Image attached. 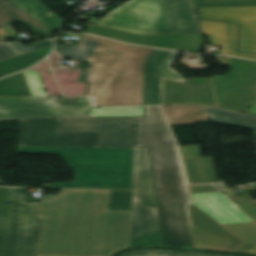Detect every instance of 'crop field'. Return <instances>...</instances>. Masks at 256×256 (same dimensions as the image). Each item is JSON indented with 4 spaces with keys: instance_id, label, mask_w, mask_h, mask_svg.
Segmentation results:
<instances>
[{
    "instance_id": "crop-field-31",
    "label": "crop field",
    "mask_w": 256,
    "mask_h": 256,
    "mask_svg": "<svg viewBox=\"0 0 256 256\" xmlns=\"http://www.w3.org/2000/svg\"><path fill=\"white\" fill-rule=\"evenodd\" d=\"M132 191H112L108 210H131Z\"/></svg>"
},
{
    "instance_id": "crop-field-10",
    "label": "crop field",
    "mask_w": 256,
    "mask_h": 256,
    "mask_svg": "<svg viewBox=\"0 0 256 256\" xmlns=\"http://www.w3.org/2000/svg\"><path fill=\"white\" fill-rule=\"evenodd\" d=\"M61 118L20 121L19 147H97L100 132L60 133Z\"/></svg>"
},
{
    "instance_id": "crop-field-43",
    "label": "crop field",
    "mask_w": 256,
    "mask_h": 256,
    "mask_svg": "<svg viewBox=\"0 0 256 256\" xmlns=\"http://www.w3.org/2000/svg\"><path fill=\"white\" fill-rule=\"evenodd\" d=\"M255 138H256V131H255Z\"/></svg>"
},
{
    "instance_id": "crop-field-42",
    "label": "crop field",
    "mask_w": 256,
    "mask_h": 256,
    "mask_svg": "<svg viewBox=\"0 0 256 256\" xmlns=\"http://www.w3.org/2000/svg\"><path fill=\"white\" fill-rule=\"evenodd\" d=\"M248 253L256 254V247H254L253 249H251L250 251H248Z\"/></svg>"
},
{
    "instance_id": "crop-field-34",
    "label": "crop field",
    "mask_w": 256,
    "mask_h": 256,
    "mask_svg": "<svg viewBox=\"0 0 256 256\" xmlns=\"http://www.w3.org/2000/svg\"><path fill=\"white\" fill-rule=\"evenodd\" d=\"M38 73L37 71H24L31 95L46 96Z\"/></svg>"
},
{
    "instance_id": "crop-field-13",
    "label": "crop field",
    "mask_w": 256,
    "mask_h": 256,
    "mask_svg": "<svg viewBox=\"0 0 256 256\" xmlns=\"http://www.w3.org/2000/svg\"><path fill=\"white\" fill-rule=\"evenodd\" d=\"M83 32L129 43L187 52H199L203 41L201 33L136 35L95 24Z\"/></svg>"
},
{
    "instance_id": "crop-field-22",
    "label": "crop field",
    "mask_w": 256,
    "mask_h": 256,
    "mask_svg": "<svg viewBox=\"0 0 256 256\" xmlns=\"http://www.w3.org/2000/svg\"><path fill=\"white\" fill-rule=\"evenodd\" d=\"M190 184L219 182L212 157L182 159Z\"/></svg>"
},
{
    "instance_id": "crop-field-30",
    "label": "crop field",
    "mask_w": 256,
    "mask_h": 256,
    "mask_svg": "<svg viewBox=\"0 0 256 256\" xmlns=\"http://www.w3.org/2000/svg\"><path fill=\"white\" fill-rule=\"evenodd\" d=\"M91 116H143V107L93 108Z\"/></svg>"
},
{
    "instance_id": "crop-field-6",
    "label": "crop field",
    "mask_w": 256,
    "mask_h": 256,
    "mask_svg": "<svg viewBox=\"0 0 256 256\" xmlns=\"http://www.w3.org/2000/svg\"><path fill=\"white\" fill-rule=\"evenodd\" d=\"M161 246L148 149H135L131 246Z\"/></svg>"
},
{
    "instance_id": "crop-field-1",
    "label": "crop field",
    "mask_w": 256,
    "mask_h": 256,
    "mask_svg": "<svg viewBox=\"0 0 256 256\" xmlns=\"http://www.w3.org/2000/svg\"><path fill=\"white\" fill-rule=\"evenodd\" d=\"M137 117L135 147H150L164 246L194 247L186 205L191 204L174 138L158 107Z\"/></svg>"
},
{
    "instance_id": "crop-field-11",
    "label": "crop field",
    "mask_w": 256,
    "mask_h": 256,
    "mask_svg": "<svg viewBox=\"0 0 256 256\" xmlns=\"http://www.w3.org/2000/svg\"><path fill=\"white\" fill-rule=\"evenodd\" d=\"M134 117L62 118L61 132L101 131L98 147H133Z\"/></svg>"
},
{
    "instance_id": "crop-field-39",
    "label": "crop field",
    "mask_w": 256,
    "mask_h": 256,
    "mask_svg": "<svg viewBox=\"0 0 256 256\" xmlns=\"http://www.w3.org/2000/svg\"><path fill=\"white\" fill-rule=\"evenodd\" d=\"M15 56V54L5 45L0 44V60Z\"/></svg>"
},
{
    "instance_id": "crop-field-8",
    "label": "crop field",
    "mask_w": 256,
    "mask_h": 256,
    "mask_svg": "<svg viewBox=\"0 0 256 256\" xmlns=\"http://www.w3.org/2000/svg\"><path fill=\"white\" fill-rule=\"evenodd\" d=\"M26 189L13 188L7 243L4 256H35L42 217L37 203H24Z\"/></svg>"
},
{
    "instance_id": "crop-field-15",
    "label": "crop field",
    "mask_w": 256,
    "mask_h": 256,
    "mask_svg": "<svg viewBox=\"0 0 256 256\" xmlns=\"http://www.w3.org/2000/svg\"><path fill=\"white\" fill-rule=\"evenodd\" d=\"M199 18L239 23V51L256 53V7L197 8Z\"/></svg>"
},
{
    "instance_id": "crop-field-21",
    "label": "crop field",
    "mask_w": 256,
    "mask_h": 256,
    "mask_svg": "<svg viewBox=\"0 0 256 256\" xmlns=\"http://www.w3.org/2000/svg\"><path fill=\"white\" fill-rule=\"evenodd\" d=\"M20 23L34 33H40L45 38H53L49 28L41 24L39 21L25 13L23 10L9 2L8 0H0V27Z\"/></svg>"
},
{
    "instance_id": "crop-field-44",
    "label": "crop field",
    "mask_w": 256,
    "mask_h": 256,
    "mask_svg": "<svg viewBox=\"0 0 256 256\" xmlns=\"http://www.w3.org/2000/svg\"><path fill=\"white\" fill-rule=\"evenodd\" d=\"M2 41L0 40V43H1Z\"/></svg>"
},
{
    "instance_id": "crop-field-4",
    "label": "crop field",
    "mask_w": 256,
    "mask_h": 256,
    "mask_svg": "<svg viewBox=\"0 0 256 256\" xmlns=\"http://www.w3.org/2000/svg\"><path fill=\"white\" fill-rule=\"evenodd\" d=\"M88 22L136 34L201 32L193 0H130Z\"/></svg>"
},
{
    "instance_id": "crop-field-20",
    "label": "crop field",
    "mask_w": 256,
    "mask_h": 256,
    "mask_svg": "<svg viewBox=\"0 0 256 256\" xmlns=\"http://www.w3.org/2000/svg\"><path fill=\"white\" fill-rule=\"evenodd\" d=\"M202 34L210 37L212 44L224 45L221 54L255 59L256 55L237 53V24L199 19Z\"/></svg>"
},
{
    "instance_id": "crop-field-29",
    "label": "crop field",
    "mask_w": 256,
    "mask_h": 256,
    "mask_svg": "<svg viewBox=\"0 0 256 256\" xmlns=\"http://www.w3.org/2000/svg\"><path fill=\"white\" fill-rule=\"evenodd\" d=\"M10 199L11 188L0 187V256L3 253Z\"/></svg>"
},
{
    "instance_id": "crop-field-23",
    "label": "crop field",
    "mask_w": 256,
    "mask_h": 256,
    "mask_svg": "<svg viewBox=\"0 0 256 256\" xmlns=\"http://www.w3.org/2000/svg\"><path fill=\"white\" fill-rule=\"evenodd\" d=\"M206 109L212 121L227 126L256 130V116L212 107H206Z\"/></svg>"
},
{
    "instance_id": "crop-field-36",
    "label": "crop field",
    "mask_w": 256,
    "mask_h": 256,
    "mask_svg": "<svg viewBox=\"0 0 256 256\" xmlns=\"http://www.w3.org/2000/svg\"><path fill=\"white\" fill-rule=\"evenodd\" d=\"M120 256H175L170 250H138L121 254Z\"/></svg>"
},
{
    "instance_id": "crop-field-12",
    "label": "crop field",
    "mask_w": 256,
    "mask_h": 256,
    "mask_svg": "<svg viewBox=\"0 0 256 256\" xmlns=\"http://www.w3.org/2000/svg\"><path fill=\"white\" fill-rule=\"evenodd\" d=\"M55 50L71 60L87 61L78 82L88 84L83 95L96 96L114 70L121 54L58 45Z\"/></svg>"
},
{
    "instance_id": "crop-field-26",
    "label": "crop field",
    "mask_w": 256,
    "mask_h": 256,
    "mask_svg": "<svg viewBox=\"0 0 256 256\" xmlns=\"http://www.w3.org/2000/svg\"><path fill=\"white\" fill-rule=\"evenodd\" d=\"M51 48L15 56V57L0 61V75L4 76V75L12 74L29 67L30 65L34 64L38 60L47 56L50 53Z\"/></svg>"
},
{
    "instance_id": "crop-field-2",
    "label": "crop field",
    "mask_w": 256,
    "mask_h": 256,
    "mask_svg": "<svg viewBox=\"0 0 256 256\" xmlns=\"http://www.w3.org/2000/svg\"><path fill=\"white\" fill-rule=\"evenodd\" d=\"M108 194L61 190L47 200L36 256H97Z\"/></svg>"
},
{
    "instance_id": "crop-field-14",
    "label": "crop field",
    "mask_w": 256,
    "mask_h": 256,
    "mask_svg": "<svg viewBox=\"0 0 256 256\" xmlns=\"http://www.w3.org/2000/svg\"><path fill=\"white\" fill-rule=\"evenodd\" d=\"M187 208L195 247L234 251L244 242L195 205Z\"/></svg>"
},
{
    "instance_id": "crop-field-18",
    "label": "crop field",
    "mask_w": 256,
    "mask_h": 256,
    "mask_svg": "<svg viewBox=\"0 0 256 256\" xmlns=\"http://www.w3.org/2000/svg\"><path fill=\"white\" fill-rule=\"evenodd\" d=\"M131 211H106L98 256L129 247Z\"/></svg>"
},
{
    "instance_id": "crop-field-7",
    "label": "crop field",
    "mask_w": 256,
    "mask_h": 256,
    "mask_svg": "<svg viewBox=\"0 0 256 256\" xmlns=\"http://www.w3.org/2000/svg\"><path fill=\"white\" fill-rule=\"evenodd\" d=\"M229 58L230 71L225 76H210L217 107L246 113L256 91V61Z\"/></svg>"
},
{
    "instance_id": "crop-field-24",
    "label": "crop field",
    "mask_w": 256,
    "mask_h": 256,
    "mask_svg": "<svg viewBox=\"0 0 256 256\" xmlns=\"http://www.w3.org/2000/svg\"><path fill=\"white\" fill-rule=\"evenodd\" d=\"M12 3L26 11L28 14L42 22L54 31L61 28L65 21L50 13L40 0H10Z\"/></svg>"
},
{
    "instance_id": "crop-field-41",
    "label": "crop field",
    "mask_w": 256,
    "mask_h": 256,
    "mask_svg": "<svg viewBox=\"0 0 256 256\" xmlns=\"http://www.w3.org/2000/svg\"><path fill=\"white\" fill-rule=\"evenodd\" d=\"M253 89H256V86L253 88ZM248 113L250 114H256V99L255 101L253 102L251 108L249 109Z\"/></svg>"
},
{
    "instance_id": "crop-field-37",
    "label": "crop field",
    "mask_w": 256,
    "mask_h": 256,
    "mask_svg": "<svg viewBox=\"0 0 256 256\" xmlns=\"http://www.w3.org/2000/svg\"><path fill=\"white\" fill-rule=\"evenodd\" d=\"M182 158L201 156L199 145L179 146Z\"/></svg>"
},
{
    "instance_id": "crop-field-16",
    "label": "crop field",
    "mask_w": 256,
    "mask_h": 256,
    "mask_svg": "<svg viewBox=\"0 0 256 256\" xmlns=\"http://www.w3.org/2000/svg\"><path fill=\"white\" fill-rule=\"evenodd\" d=\"M163 105H207L215 107L210 78L163 79Z\"/></svg>"
},
{
    "instance_id": "crop-field-19",
    "label": "crop field",
    "mask_w": 256,
    "mask_h": 256,
    "mask_svg": "<svg viewBox=\"0 0 256 256\" xmlns=\"http://www.w3.org/2000/svg\"><path fill=\"white\" fill-rule=\"evenodd\" d=\"M191 195L194 204L220 224L251 221L221 193Z\"/></svg>"
},
{
    "instance_id": "crop-field-40",
    "label": "crop field",
    "mask_w": 256,
    "mask_h": 256,
    "mask_svg": "<svg viewBox=\"0 0 256 256\" xmlns=\"http://www.w3.org/2000/svg\"><path fill=\"white\" fill-rule=\"evenodd\" d=\"M176 256H220L209 253H200V252H184V251H175Z\"/></svg>"
},
{
    "instance_id": "crop-field-3",
    "label": "crop field",
    "mask_w": 256,
    "mask_h": 256,
    "mask_svg": "<svg viewBox=\"0 0 256 256\" xmlns=\"http://www.w3.org/2000/svg\"><path fill=\"white\" fill-rule=\"evenodd\" d=\"M18 151L59 154L77 173L74 183L44 187L132 189L134 148H18Z\"/></svg>"
},
{
    "instance_id": "crop-field-25",
    "label": "crop field",
    "mask_w": 256,
    "mask_h": 256,
    "mask_svg": "<svg viewBox=\"0 0 256 256\" xmlns=\"http://www.w3.org/2000/svg\"><path fill=\"white\" fill-rule=\"evenodd\" d=\"M170 124L210 121L204 107H162Z\"/></svg>"
},
{
    "instance_id": "crop-field-9",
    "label": "crop field",
    "mask_w": 256,
    "mask_h": 256,
    "mask_svg": "<svg viewBox=\"0 0 256 256\" xmlns=\"http://www.w3.org/2000/svg\"><path fill=\"white\" fill-rule=\"evenodd\" d=\"M91 104L88 97L78 98L73 105H60L58 97H0V120L90 116Z\"/></svg>"
},
{
    "instance_id": "crop-field-35",
    "label": "crop field",
    "mask_w": 256,
    "mask_h": 256,
    "mask_svg": "<svg viewBox=\"0 0 256 256\" xmlns=\"http://www.w3.org/2000/svg\"><path fill=\"white\" fill-rule=\"evenodd\" d=\"M6 45L16 54L27 53L52 46V40L43 41L41 43H33L22 46L20 42L6 43Z\"/></svg>"
},
{
    "instance_id": "crop-field-33",
    "label": "crop field",
    "mask_w": 256,
    "mask_h": 256,
    "mask_svg": "<svg viewBox=\"0 0 256 256\" xmlns=\"http://www.w3.org/2000/svg\"><path fill=\"white\" fill-rule=\"evenodd\" d=\"M231 197L230 199L242 209L256 223V201H253L250 195Z\"/></svg>"
},
{
    "instance_id": "crop-field-5",
    "label": "crop field",
    "mask_w": 256,
    "mask_h": 256,
    "mask_svg": "<svg viewBox=\"0 0 256 256\" xmlns=\"http://www.w3.org/2000/svg\"><path fill=\"white\" fill-rule=\"evenodd\" d=\"M76 47L123 53L111 77L96 96V106L143 105L144 63L151 48L80 34Z\"/></svg>"
},
{
    "instance_id": "crop-field-17",
    "label": "crop field",
    "mask_w": 256,
    "mask_h": 256,
    "mask_svg": "<svg viewBox=\"0 0 256 256\" xmlns=\"http://www.w3.org/2000/svg\"><path fill=\"white\" fill-rule=\"evenodd\" d=\"M178 53L155 49L146 63L145 105H162V78L184 81L169 64Z\"/></svg>"
},
{
    "instance_id": "crop-field-32",
    "label": "crop field",
    "mask_w": 256,
    "mask_h": 256,
    "mask_svg": "<svg viewBox=\"0 0 256 256\" xmlns=\"http://www.w3.org/2000/svg\"><path fill=\"white\" fill-rule=\"evenodd\" d=\"M197 7L256 6V0H195Z\"/></svg>"
},
{
    "instance_id": "crop-field-27",
    "label": "crop field",
    "mask_w": 256,
    "mask_h": 256,
    "mask_svg": "<svg viewBox=\"0 0 256 256\" xmlns=\"http://www.w3.org/2000/svg\"><path fill=\"white\" fill-rule=\"evenodd\" d=\"M0 96H31L23 72L0 80Z\"/></svg>"
},
{
    "instance_id": "crop-field-38",
    "label": "crop field",
    "mask_w": 256,
    "mask_h": 256,
    "mask_svg": "<svg viewBox=\"0 0 256 256\" xmlns=\"http://www.w3.org/2000/svg\"><path fill=\"white\" fill-rule=\"evenodd\" d=\"M191 193L219 192L213 185L189 186Z\"/></svg>"
},
{
    "instance_id": "crop-field-28",
    "label": "crop field",
    "mask_w": 256,
    "mask_h": 256,
    "mask_svg": "<svg viewBox=\"0 0 256 256\" xmlns=\"http://www.w3.org/2000/svg\"><path fill=\"white\" fill-rule=\"evenodd\" d=\"M245 242L236 251L246 252L256 246V225L253 222L224 225Z\"/></svg>"
}]
</instances>
